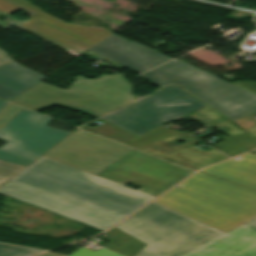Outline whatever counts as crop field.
<instances>
[{
    "label": "crop field",
    "instance_id": "25",
    "mask_svg": "<svg viewBox=\"0 0 256 256\" xmlns=\"http://www.w3.org/2000/svg\"><path fill=\"white\" fill-rule=\"evenodd\" d=\"M12 61L13 60L4 51L0 49V66Z\"/></svg>",
    "mask_w": 256,
    "mask_h": 256
},
{
    "label": "crop field",
    "instance_id": "6",
    "mask_svg": "<svg viewBox=\"0 0 256 256\" xmlns=\"http://www.w3.org/2000/svg\"><path fill=\"white\" fill-rule=\"evenodd\" d=\"M203 106L178 86L171 85L100 119L138 136Z\"/></svg>",
    "mask_w": 256,
    "mask_h": 256
},
{
    "label": "crop field",
    "instance_id": "3",
    "mask_svg": "<svg viewBox=\"0 0 256 256\" xmlns=\"http://www.w3.org/2000/svg\"><path fill=\"white\" fill-rule=\"evenodd\" d=\"M181 184L155 202L224 232L256 215V191L199 172Z\"/></svg>",
    "mask_w": 256,
    "mask_h": 256
},
{
    "label": "crop field",
    "instance_id": "18",
    "mask_svg": "<svg viewBox=\"0 0 256 256\" xmlns=\"http://www.w3.org/2000/svg\"><path fill=\"white\" fill-rule=\"evenodd\" d=\"M225 141L220 142L218 144L212 145L213 147L222 150L231 146H235L250 140H254V138H252L249 134H247L246 132L238 134L236 136L224 139Z\"/></svg>",
    "mask_w": 256,
    "mask_h": 256
},
{
    "label": "crop field",
    "instance_id": "2",
    "mask_svg": "<svg viewBox=\"0 0 256 256\" xmlns=\"http://www.w3.org/2000/svg\"><path fill=\"white\" fill-rule=\"evenodd\" d=\"M116 228L147 244L135 256H256V217L224 233L153 202Z\"/></svg>",
    "mask_w": 256,
    "mask_h": 256
},
{
    "label": "crop field",
    "instance_id": "22",
    "mask_svg": "<svg viewBox=\"0 0 256 256\" xmlns=\"http://www.w3.org/2000/svg\"><path fill=\"white\" fill-rule=\"evenodd\" d=\"M21 10L20 8L8 3L5 0H0V11L10 15L17 11Z\"/></svg>",
    "mask_w": 256,
    "mask_h": 256
},
{
    "label": "crop field",
    "instance_id": "1",
    "mask_svg": "<svg viewBox=\"0 0 256 256\" xmlns=\"http://www.w3.org/2000/svg\"><path fill=\"white\" fill-rule=\"evenodd\" d=\"M191 173L135 149L96 176L41 156L0 193L104 231Z\"/></svg>",
    "mask_w": 256,
    "mask_h": 256
},
{
    "label": "crop field",
    "instance_id": "21",
    "mask_svg": "<svg viewBox=\"0 0 256 256\" xmlns=\"http://www.w3.org/2000/svg\"><path fill=\"white\" fill-rule=\"evenodd\" d=\"M255 148H256V140L247 142V143L235 146V147H231V148H228V149H225L222 151L224 153H226L227 155H229L230 157H233V156L239 155L241 153L250 151Z\"/></svg>",
    "mask_w": 256,
    "mask_h": 256
},
{
    "label": "crop field",
    "instance_id": "17",
    "mask_svg": "<svg viewBox=\"0 0 256 256\" xmlns=\"http://www.w3.org/2000/svg\"><path fill=\"white\" fill-rule=\"evenodd\" d=\"M40 251L0 244V256H31Z\"/></svg>",
    "mask_w": 256,
    "mask_h": 256
},
{
    "label": "crop field",
    "instance_id": "12",
    "mask_svg": "<svg viewBox=\"0 0 256 256\" xmlns=\"http://www.w3.org/2000/svg\"><path fill=\"white\" fill-rule=\"evenodd\" d=\"M244 159L223 162L201 172L256 189V155H241Z\"/></svg>",
    "mask_w": 256,
    "mask_h": 256
},
{
    "label": "crop field",
    "instance_id": "15",
    "mask_svg": "<svg viewBox=\"0 0 256 256\" xmlns=\"http://www.w3.org/2000/svg\"><path fill=\"white\" fill-rule=\"evenodd\" d=\"M81 128L98 133L100 135L106 136L108 138L114 139V140L122 142L124 144L128 143L129 141H131L132 139L135 138V136H133L125 131H122L108 123L102 124L94 129L87 127V126H81Z\"/></svg>",
    "mask_w": 256,
    "mask_h": 256
},
{
    "label": "crop field",
    "instance_id": "7",
    "mask_svg": "<svg viewBox=\"0 0 256 256\" xmlns=\"http://www.w3.org/2000/svg\"><path fill=\"white\" fill-rule=\"evenodd\" d=\"M51 120L23 108L0 130V159L27 166L71 133L45 126Z\"/></svg>",
    "mask_w": 256,
    "mask_h": 256
},
{
    "label": "crop field",
    "instance_id": "5",
    "mask_svg": "<svg viewBox=\"0 0 256 256\" xmlns=\"http://www.w3.org/2000/svg\"><path fill=\"white\" fill-rule=\"evenodd\" d=\"M140 77L160 86L177 84L234 121L256 111V95L177 59Z\"/></svg>",
    "mask_w": 256,
    "mask_h": 256
},
{
    "label": "crop field",
    "instance_id": "16",
    "mask_svg": "<svg viewBox=\"0 0 256 256\" xmlns=\"http://www.w3.org/2000/svg\"><path fill=\"white\" fill-rule=\"evenodd\" d=\"M25 166L0 160V186L21 171Z\"/></svg>",
    "mask_w": 256,
    "mask_h": 256
},
{
    "label": "crop field",
    "instance_id": "27",
    "mask_svg": "<svg viewBox=\"0 0 256 256\" xmlns=\"http://www.w3.org/2000/svg\"><path fill=\"white\" fill-rule=\"evenodd\" d=\"M8 102L0 99V109L6 105Z\"/></svg>",
    "mask_w": 256,
    "mask_h": 256
},
{
    "label": "crop field",
    "instance_id": "13",
    "mask_svg": "<svg viewBox=\"0 0 256 256\" xmlns=\"http://www.w3.org/2000/svg\"><path fill=\"white\" fill-rule=\"evenodd\" d=\"M106 234L108 235L103 239H108L110 242L107 243L104 248L125 254L127 256H134L146 245L115 228L106 232Z\"/></svg>",
    "mask_w": 256,
    "mask_h": 256
},
{
    "label": "crop field",
    "instance_id": "19",
    "mask_svg": "<svg viewBox=\"0 0 256 256\" xmlns=\"http://www.w3.org/2000/svg\"><path fill=\"white\" fill-rule=\"evenodd\" d=\"M22 107L8 103L0 110V128H2Z\"/></svg>",
    "mask_w": 256,
    "mask_h": 256
},
{
    "label": "crop field",
    "instance_id": "28",
    "mask_svg": "<svg viewBox=\"0 0 256 256\" xmlns=\"http://www.w3.org/2000/svg\"><path fill=\"white\" fill-rule=\"evenodd\" d=\"M71 53H73V54H75V55H79V54H81L80 52H78V51H72Z\"/></svg>",
    "mask_w": 256,
    "mask_h": 256
},
{
    "label": "crop field",
    "instance_id": "4",
    "mask_svg": "<svg viewBox=\"0 0 256 256\" xmlns=\"http://www.w3.org/2000/svg\"><path fill=\"white\" fill-rule=\"evenodd\" d=\"M133 87L121 74L75 76L69 90L40 82L11 101L34 110L60 105L98 118L134 101Z\"/></svg>",
    "mask_w": 256,
    "mask_h": 256
},
{
    "label": "crop field",
    "instance_id": "23",
    "mask_svg": "<svg viewBox=\"0 0 256 256\" xmlns=\"http://www.w3.org/2000/svg\"><path fill=\"white\" fill-rule=\"evenodd\" d=\"M22 8H24L29 14L39 10L37 7L25 2L24 0H8Z\"/></svg>",
    "mask_w": 256,
    "mask_h": 256
},
{
    "label": "crop field",
    "instance_id": "20",
    "mask_svg": "<svg viewBox=\"0 0 256 256\" xmlns=\"http://www.w3.org/2000/svg\"><path fill=\"white\" fill-rule=\"evenodd\" d=\"M69 256H121V255L113 253L104 248L98 251H92L88 248L82 247Z\"/></svg>",
    "mask_w": 256,
    "mask_h": 256
},
{
    "label": "crop field",
    "instance_id": "14",
    "mask_svg": "<svg viewBox=\"0 0 256 256\" xmlns=\"http://www.w3.org/2000/svg\"><path fill=\"white\" fill-rule=\"evenodd\" d=\"M178 133H181V132L177 131V130L172 131L165 127H157L155 129L139 136L135 141H133L129 145H131L135 148H139V147L145 146L147 144L159 141L161 139L173 136Z\"/></svg>",
    "mask_w": 256,
    "mask_h": 256
},
{
    "label": "crop field",
    "instance_id": "8",
    "mask_svg": "<svg viewBox=\"0 0 256 256\" xmlns=\"http://www.w3.org/2000/svg\"><path fill=\"white\" fill-rule=\"evenodd\" d=\"M131 149L78 129L44 156L96 175Z\"/></svg>",
    "mask_w": 256,
    "mask_h": 256
},
{
    "label": "crop field",
    "instance_id": "26",
    "mask_svg": "<svg viewBox=\"0 0 256 256\" xmlns=\"http://www.w3.org/2000/svg\"><path fill=\"white\" fill-rule=\"evenodd\" d=\"M38 256H66V255H61V254H55V253L47 252V253L40 254Z\"/></svg>",
    "mask_w": 256,
    "mask_h": 256
},
{
    "label": "crop field",
    "instance_id": "29",
    "mask_svg": "<svg viewBox=\"0 0 256 256\" xmlns=\"http://www.w3.org/2000/svg\"><path fill=\"white\" fill-rule=\"evenodd\" d=\"M95 28H96V27H95ZM97 29H99V30H101V31L105 30V29H101V28H97Z\"/></svg>",
    "mask_w": 256,
    "mask_h": 256
},
{
    "label": "crop field",
    "instance_id": "11",
    "mask_svg": "<svg viewBox=\"0 0 256 256\" xmlns=\"http://www.w3.org/2000/svg\"><path fill=\"white\" fill-rule=\"evenodd\" d=\"M44 76L15 62L0 67V98L10 101L43 80Z\"/></svg>",
    "mask_w": 256,
    "mask_h": 256
},
{
    "label": "crop field",
    "instance_id": "10",
    "mask_svg": "<svg viewBox=\"0 0 256 256\" xmlns=\"http://www.w3.org/2000/svg\"><path fill=\"white\" fill-rule=\"evenodd\" d=\"M83 55L93 61L102 59L116 67H126L136 73H141L170 59L137 42H130L115 34L89 49Z\"/></svg>",
    "mask_w": 256,
    "mask_h": 256
},
{
    "label": "crop field",
    "instance_id": "9",
    "mask_svg": "<svg viewBox=\"0 0 256 256\" xmlns=\"http://www.w3.org/2000/svg\"><path fill=\"white\" fill-rule=\"evenodd\" d=\"M31 19L19 27L63 50L85 52L113 32H100L90 26L67 24L42 11L30 15Z\"/></svg>",
    "mask_w": 256,
    "mask_h": 256
},
{
    "label": "crop field",
    "instance_id": "24",
    "mask_svg": "<svg viewBox=\"0 0 256 256\" xmlns=\"http://www.w3.org/2000/svg\"><path fill=\"white\" fill-rule=\"evenodd\" d=\"M233 84L240 86V87L256 94V82L255 81H238V82H233Z\"/></svg>",
    "mask_w": 256,
    "mask_h": 256
}]
</instances>
